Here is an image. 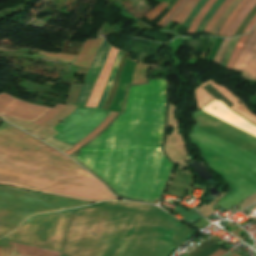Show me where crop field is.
<instances>
[{"mask_svg":"<svg viewBox=\"0 0 256 256\" xmlns=\"http://www.w3.org/2000/svg\"><path fill=\"white\" fill-rule=\"evenodd\" d=\"M226 252H228V251H226V250H224V249H219V250H217L216 252H214L212 255H210V256H222V255H224Z\"/></svg>","mask_w":256,"mask_h":256,"instance_id":"crop-field-30","label":"crop field"},{"mask_svg":"<svg viewBox=\"0 0 256 256\" xmlns=\"http://www.w3.org/2000/svg\"><path fill=\"white\" fill-rule=\"evenodd\" d=\"M73 210L33 216L2 239L60 252Z\"/></svg>","mask_w":256,"mask_h":256,"instance_id":"crop-field-6","label":"crop field"},{"mask_svg":"<svg viewBox=\"0 0 256 256\" xmlns=\"http://www.w3.org/2000/svg\"><path fill=\"white\" fill-rule=\"evenodd\" d=\"M185 256V255H184Z\"/></svg>","mask_w":256,"mask_h":256,"instance_id":"crop-field-34","label":"crop field"},{"mask_svg":"<svg viewBox=\"0 0 256 256\" xmlns=\"http://www.w3.org/2000/svg\"><path fill=\"white\" fill-rule=\"evenodd\" d=\"M248 35L249 34L243 35L239 39V41H238V43H237V45H236V47H235V49H234V51L232 53L230 61H229L228 65H227V68L232 69L233 65L235 64V62H236V60H237V58H238V56H239V54H240V52H241V50L243 48V45H244Z\"/></svg>","mask_w":256,"mask_h":256,"instance_id":"crop-field-20","label":"crop field"},{"mask_svg":"<svg viewBox=\"0 0 256 256\" xmlns=\"http://www.w3.org/2000/svg\"><path fill=\"white\" fill-rule=\"evenodd\" d=\"M180 2V0L173 6V8L169 11V13L160 21L157 23V25L160 26V24L169 16V14L175 9L176 5Z\"/></svg>","mask_w":256,"mask_h":256,"instance_id":"crop-field-31","label":"crop field"},{"mask_svg":"<svg viewBox=\"0 0 256 256\" xmlns=\"http://www.w3.org/2000/svg\"><path fill=\"white\" fill-rule=\"evenodd\" d=\"M195 233L151 205L100 202L76 210L61 256H169Z\"/></svg>","mask_w":256,"mask_h":256,"instance_id":"crop-field-2","label":"crop field"},{"mask_svg":"<svg viewBox=\"0 0 256 256\" xmlns=\"http://www.w3.org/2000/svg\"><path fill=\"white\" fill-rule=\"evenodd\" d=\"M216 0H208V2L205 4V6L201 9V11L198 13V15L195 17L193 23L190 25L188 29V33H193L200 23L203 16L206 14V12L210 9V7L215 3Z\"/></svg>","mask_w":256,"mask_h":256,"instance_id":"crop-field-18","label":"crop field"},{"mask_svg":"<svg viewBox=\"0 0 256 256\" xmlns=\"http://www.w3.org/2000/svg\"><path fill=\"white\" fill-rule=\"evenodd\" d=\"M167 3H163L161 2L158 6H156L154 9H152L151 11H149L146 15L148 19H150L152 21V19L157 16L165 7H166Z\"/></svg>","mask_w":256,"mask_h":256,"instance_id":"crop-field-27","label":"crop field"},{"mask_svg":"<svg viewBox=\"0 0 256 256\" xmlns=\"http://www.w3.org/2000/svg\"><path fill=\"white\" fill-rule=\"evenodd\" d=\"M110 45H108L106 43V41L104 40V42L102 43V45L100 46L96 57L94 59V62L85 78V83L81 89L78 101H77V106H84L89 95L90 92L93 88V85L100 73V70L105 62L106 56L108 54V51L110 49Z\"/></svg>","mask_w":256,"mask_h":256,"instance_id":"crop-field-9","label":"crop field"},{"mask_svg":"<svg viewBox=\"0 0 256 256\" xmlns=\"http://www.w3.org/2000/svg\"><path fill=\"white\" fill-rule=\"evenodd\" d=\"M161 78H165L167 87L165 80ZM161 78L147 79L146 83H142L148 84L149 80L161 79L150 81L148 85L135 84L142 86L130 87L127 101L129 86H134L129 85L126 90L121 113H118L93 139L101 135L120 114H123L127 101L124 114L120 115L101 136L94 141L91 139L69 155L77 162L81 161L92 169L117 193L128 198L152 202H155L160 195L173 164L167 183L160 197L155 203H152L128 199L117 194L92 170L79 162L114 194L127 200L156 204L163 196L174 169L175 163L169 159L163 151L169 106L167 95L169 83L166 77ZM164 90L166 95V116ZM164 116L165 126L163 133ZM162 133L161 151L172 164L160 151Z\"/></svg>","mask_w":256,"mask_h":256,"instance_id":"crop-field-1","label":"crop field"},{"mask_svg":"<svg viewBox=\"0 0 256 256\" xmlns=\"http://www.w3.org/2000/svg\"><path fill=\"white\" fill-rule=\"evenodd\" d=\"M0 103L5 106H8L10 108H13V109H16V110H19L22 112H26V113H29V114H32V115H35L38 117H41L46 112H48L49 110L52 109V108H47V107H43V106L26 103V102H24L18 98H15L5 92L0 93ZM3 105H0V117L1 118H4L5 116H7L12 119L26 121V122H30V123H33L36 119H38V117L10 109Z\"/></svg>","mask_w":256,"mask_h":256,"instance_id":"crop-field-7","label":"crop field"},{"mask_svg":"<svg viewBox=\"0 0 256 256\" xmlns=\"http://www.w3.org/2000/svg\"><path fill=\"white\" fill-rule=\"evenodd\" d=\"M256 4V0H251L249 4L242 10V12L237 16V18L234 20L231 27L228 29L226 36L231 37L238 25L242 22V20L247 16V14L250 12V10L253 8V6Z\"/></svg>","mask_w":256,"mask_h":256,"instance_id":"crop-field-14","label":"crop field"},{"mask_svg":"<svg viewBox=\"0 0 256 256\" xmlns=\"http://www.w3.org/2000/svg\"><path fill=\"white\" fill-rule=\"evenodd\" d=\"M250 0H242V2L237 6V8L233 11V13L230 15L226 23L221 28L219 35L225 36V33L229 26L232 24L233 20L236 18V16L240 13V11L247 5V3Z\"/></svg>","mask_w":256,"mask_h":256,"instance_id":"crop-field-17","label":"crop field"},{"mask_svg":"<svg viewBox=\"0 0 256 256\" xmlns=\"http://www.w3.org/2000/svg\"><path fill=\"white\" fill-rule=\"evenodd\" d=\"M122 53L123 52H121V51H119V53H118V56L116 58L115 64L113 66V69L111 71L108 83H107V85H106V87H105V89H104V91L102 93V96L100 98L99 104L97 106L99 108H102V106H103V104H104V102H105V100L107 98V95H108V93H109V91L111 89V86H112V83H113V79H114V75H115V72H116V69H117V66H118V63H119V60H120V57H121Z\"/></svg>","mask_w":256,"mask_h":256,"instance_id":"crop-field-15","label":"crop field"},{"mask_svg":"<svg viewBox=\"0 0 256 256\" xmlns=\"http://www.w3.org/2000/svg\"><path fill=\"white\" fill-rule=\"evenodd\" d=\"M117 113L115 112H111L105 119V121L100 124L98 126V128L93 131L92 133H90L89 135H87L86 137H84L79 143H77L76 145H74L73 147H71L70 149H68L66 152V154H70L72 153L75 149H77L79 146H81L82 144H84L85 142H87L88 140H90L91 138H93L96 134H98L115 116Z\"/></svg>","mask_w":256,"mask_h":256,"instance_id":"crop-field-13","label":"crop field"},{"mask_svg":"<svg viewBox=\"0 0 256 256\" xmlns=\"http://www.w3.org/2000/svg\"><path fill=\"white\" fill-rule=\"evenodd\" d=\"M186 0H182L177 8L170 14V16L165 20V22L161 25V27H166L169 23V21L174 17V15L178 12V10L181 8V6L184 4Z\"/></svg>","mask_w":256,"mask_h":256,"instance_id":"crop-field-28","label":"crop field"},{"mask_svg":"<svg viewBox=\"0 0 256 256\" xmlns=\"http://www.w3.org/2000/svg\"><path fill=\"white\" fill-rule=\"evenodd\" d=\"M117 52H118L117 50H115L114 48H111V50L108 54V57L106 59L105 66L102 69V71L98 77V80L92 90L91 96L86 104L87 107H96L97 106L99 98L101 96V93L106 85L108 76L112 69L114 58H115Z\"/></svg>","mask_w":256,"mask_h":256,"instance_id":"crop-field-10","label":"crop field"},{"mask_svg":"<svg viewBox=\"0 0 256 256\" xmlns=\"http://www.w3.org/2000/svg\"><path fill=\"white\" fill-rule=\"evenodd\" d=\"M198 0H187L183 5L182 9L176 14L172 21L177 22L182 25L185 18L191 12ZM199 2V1H198Z\"/></svg>","mask_w":256,"mask_h":256,"instance_id":"crop-field-16","label":"crop field"},{"mask_svg":"<svg viewBox=\"0 0 256 256\" xmlns=\"http://www.w3.org/2000/svg\"><path fill=\"white\" fill-rule=\"evenodd\" d=\"M60 253L9 243L8 256H59Z\"/></svg>","mask_w":256,"mask_h":256,"instance_id":"crop-field-11","label":"crop field"},{"mask_svg":"<svg viewBox=\"0 0 256 256\" xmlns=\"http://www.w3.org/2000/svg\"><path fill=\"white\" fill-rule=\"evenodd\" d=\"M231 109L237 113H239L240 115L246 117L247 119H249L250 121L256 123V115H254L251 111H249L243 102H241L238 105H235L233 107H231Z\"/></svg>","mask_w":256,"mask_h":256,"instance_id":"crop-field-23","label":"crop field"},{"mask_svg":"<svg viewBox=\"0 0 256 256\" xmlns=\"http://www.w3.org/2000/svg\"><path fill=\"white\" fill-rule=\"evenodd\" d=\"M8 248L1 247L0 256H6Z\"/></svg>","mask_w":256,"mask_h":256,"instance_id":"crop-field-32","label":"crop field"},{"mask_svg":"<svg viewBox=\"0 0 256 256\" xmlns=\"http://www.w3.org/2000/svg\"><path fill=\"white\" fill-rule=\"evenodd\" d=\"M231 256H236V255L232 254Z\"/></svg>","mask_w":256,"mask_h":256,"instance_id":"crop-field-33","label":"crop field"},{"mask_svg":"<svg viewBox=\"0 0 256 256\" xmlns=\"http://www.w3.org/2000/svg\"><path fill=\"white\" fill-rule=\"evenodd\" d=\"M66 105L58 104L54 109L49 111L46 115L38 119L34 124L37 125H44L49 119H51L53 116H55L57 113H59Z\"/></svg>","mask_w":256,"mask_h":256,"instance_id":"crop-field-24","label":"crop field"},{"mask_svg":"<svg viewBox=\"0 0 256 256\" xmlns=\"http://www.w3.org/2000/svg\"><path fill=\"white\" fill-rule=\"evenodd\" d=\"M207 0H199L194 10L191 12L189 17L184 22L183 26H189L194 17L197 15V13L200 11V9L203 7V5L206 3Z\"/></svg>","mask_w":256,"mask_h":256,"instance_id":"crop-field-26","label":"crop field"},{"mask_svg":"<svg viewBox=\"0 0 256 256\" xmlns=\"http://www.w3.org/2000/svg\"><path fill=\"white\" fill-rule=\"evenodd\" d=\"M224 0H217L216 3L211 7V9L207 12V14L202 19L201 23L199 24L198 28L196 29L195 33L202 32L205 28L209 19L214 15L215 11L218 7L223 3Z\"/></svg>","mask_w":256,"mask_h":256,"instance_id":"crop-field-21","label":"crop field"},{"mask_svg":"<svg viewBox=\"0 0 256 256\" xmlns=\"http://www.w3.org/2000/svg\"><path fill=\"white\" fill-rule=\"evenodd\" d=\"M255 22H256V16H255V17L253 18V20L249 23V25L245 28V30L243 31V33L249 32ZM255 24H256V23H255Z\"/></svg>","mask_w":256,"mask_h":256,"instance_id":"crop-field-29","label":"crop field"},{"mask_svg":"<svg viewBox=\"0 0 256 256\" xmlns=\"http://www.w3.org/2000/svg\"><path fill=\"white\" fill-rule=\"evenodd\" d=\"M233 0H225V2L220 6L218 11L215 13V15L211 18V20L208 22L205 32L210 33L213 25L219 20L221 14L225 11V9L231 4ZM223 15V14H222Z\"/></svg>","mask_w":256,"mask_h":256,"instance_id":"crop-field-19","label":"crop field"},{"mask_svg":"<svg viewBox=\"0 0 256 256\" xmlns=\"http://www.w3.org/2000/svg\"><path fill=\"white\" fill-rule=\"evenodd\" d=\"M147 65L137 64L134 70L132 84L145 82V76L148 70Z\"/></svg>","mask_w":256,"mask_h":256,"instance_id":"crop-field-22","label":"crop field"},{"mask_svg":"<svg viewBox=\"0 0 256 256\" xmlns=\"http://www.w3.org/2000/svg\"><path fill=\"white\" fill-rule=\"evenodd\" d=\"M234 70L242 71L241 77L256 80V28L251 33Z\"/></svg>","mask_w":256,"mask_h":256,"instance_id":"crop-field-8","label":"crop field"},{"mask_svg":"<svg viewBox=\"0 0 256 256\" xmlns=\"http://www.w3.org/2000/svg\"><path fill=\"white\" fill-rule=\"evenodd\" d=\"M103 38L97 40H86L83 44L74 65L88 68L91 60L98 49Z\"/></svg>","mask_w":256,"mask_h":256,"instance_id":"crop-field-12","label":"crop field"},{"mask_svg":"<svg viewBox=\"0 0 256 256\" xmlns=\"http://www.w3.org/2000/svg\"><path fill=\"white\" fill-rule=\"evenodd\" d=\"M195 93L198 108L256 135L255 126L249 124L250 122L248 123L242 119L218 100L220 98L229 107L241 101L225 87L217 85L210 80L197 87ZM200 109L193 113V115L256 144V136ZM196 117H194L197 122L196 125L256 154V145ZM196 125H194V129L190 134L191 143L200 149L201 156L209 167L220 175L232 190L217 205L224 209H229L256 193V155Z\"/></svg>","mask_w":256,"mask_h":256,"instance_id":"crop-field-3","label":"crop field"},{"mask_svg":"<svg viewBox=\"0 0 256 256\" xmlns=\"http://www.w3.org/2000/svg\"><path fill=\"white\" fill-rule=\"evenodd\" d=\"M37 54L43 55V56H46V57H50V58H54V59L69 61V62H74V60L76 59V56H74V55L44 53V52H39Z\"/></svg>","mask_w":256,"mask_h":256,"instance_id":"crop-field-25","label":"crop field"},{"mask_svg":"<svg viewBox=\"0 0 256 256\" xmlns=\"http://www.w3.org/2000/svg\"><path fill=\"white\" fill-rule=\"evenodd\" d=\"M27 192L31 194L27 195ZM90 203L92 202L0 185V237L33 214Z\"/></svg>","mask_w":256,"mask_h":256,"instance_id":"crop-field-5","label":"crop field"},{"mask_svg":"<svg viewBox=\"0 0 256 256\" xmlns=\"http://www.w3.org/2000/svg\"><path fill=\"white\" fill-rule=\"evenodd\" d=\"M0 180L96 201L119 198L64 154L3 122Z\"/></svg>","mask_w":256,"mask_h":256,"instance_id":"crop-field-4","label":"crop field"}]
</instances>
